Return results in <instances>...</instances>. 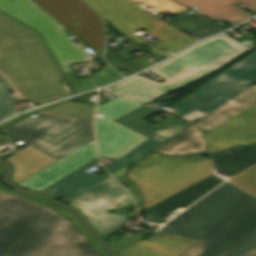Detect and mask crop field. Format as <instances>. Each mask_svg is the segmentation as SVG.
<instances>
[{
	"instance_id": "1",
	"label": "crop field",
	"mask_w": 256,
	"mask_h": 256,
	"mask_svg": "<svg viewBox=\"0 0 256 256\" xmlns=\"http://www.w3.org/2000/svg\"><path fill=\"white\" fill-rule=\"evenodd\" d=\"M157 232L198 241L179 256H243L256 247V198L225 182Z\"/></svg>"
},
{
	"instance_id": "2",
	"label": "crop field",
	"mask_w": 256,
	"mask_h": 256,
	"mask_svg": "<svg viewBox=\"0 0 256 256\" xmlns=\"http://www.w3.org/2000/svg\"><path fill=\"white\" fill-rule=\"evenodd\" d=\"M0 71L26 100L39 105L66 97L64 78L36 31L0 15Z\"/></svg>"
},
{
	"instance_id": "3",
	"label": "crop field",
	"mask_w": 256,
	"mask_h": 256,
	"mask_svg": "<svg viewBox=\"0 0 256 256\" xmlns=\"http://www.w3.org/2000/svg\"><path fill=\"white\" fill-rule=\"evenodd\" d=\"M75 222L68 211L0 184V256H30Z\"/></svg>"
},
{
	"instance_id": "4",
	"label": "crop field",
	"mask_w": 256,
	"mask_h": 256,
	"mask_svg": "<svg viewBox=\"0 0 256 256\" xmlns=\"http://www.w3.org/2000/svg\"><path fill=\"white\" fill-rule=\"evenodd\" d=\"M2 131L29 144L5 160L13 165L15 184L93 139L91 123L48 114L25 118Z\"/></svg>"
},
{
	"instance_id": "5",
	"label": "crop field",
	"mask_w": 256,
	"mask_h": 256,
	"mask_svg": "<svg viewBox=\"0 0 256 256\" xmlns=\"http://www.w3.org/2000/svg\"><path fill=\"white\" fill-rule=\"evenodd\" d=\"M245 51L219 35L150 69L165 80L162 83L136 75L103 90L147 104L224 65Z\"/></svg>"
},
{
	"instance_id": "6",
	"label": "crop field",
	"mask_w": 256,
	"mask_h": 256,
	"mask_svg": "<svg viewBox=\"0 0 256 256\" xmlns=\"http://www.w3.org/2000/svg\"><path fill=\"white\" fill-rule=\"evenodd\" d=\"M213 174L209 160L151 154L127 173L144 198L146 209Z\"/></svg>"
},
{
	"instance_id": "7",
	"label": "crop field",
	"mask_w": 256,
	"mask_h": 256,
	"mask_svg": "<svg viewBox=\"0 0 256 256\" xmlns=\"http://www.w3.org/2000/svg\"><path fill=\"white\" fill-rule=\"evenodd\" d=\"M123 35H127L162 57L169 56L130 33L142 28L161 42L155 43L169 53H174L195 41L167 23L144 14V10L128 0H84Z\"/></svg>"
},
{
	"instance_id": "8",
	"label": "crop field",
	"mask_w": 256,
	"mask_h": 256,
	"mask_svg": "<svg viewBox=\"0 0 256 256\" xmlns=\"http://www.w3.org/2000/svg\"><path fill=\"white\" fill-rule=\"evenodd\" d=\"M256 82V51L172 105L177 116L194 121Z\"/></svg>"
},
{
	"instance_id": "9",
	"label": "crop field",
	"mask_w": 256,
	"mask_h": 256,
	"mask_svg": "<svg viewBox=\"0 0 256 256\" xmlns=\"http://www.w3.org/2000/svg\"><path fill=\"white\" fill-rule=\"evenodd\" d=\"M0 11L36 29L44 39L62 73L71 72L68 65L90 62L85 52L69 41L57 22L31 0H0Z\"/></svg>"
},
{
	"instance_id": "10",
	"label": "crop field",
	"mask_w": 256,
	"mask_h": 256,
	"mask_svg": "<svg viewBox=\"0 0 256 256\" xmlns=\"http://www.w3.org/2000/svg\"><path fill=\"white\" fill-rule=\"evenodd\" d=\"M141 106L119 96L98 106L97 113H103V119L96 120L98 149L102 157L118 160L148 138L113 122Z\"/></svg>"
},
{
	"instance_id": "11",
	"label": "crop field",
	"mask_w": 256,
	"mask_h": 256,
	"mask_svg": "<svg viewBox=\"0 0 256 256\" xmlns=\"http://www.w3.org/2000/svg\"><path fill=\"white\" fill-rule=\"evenodd\" d=\"M129 200V194L108 177L69 204L83 213L92 227L105 238L129 220L107 212L119 209Z\"/></svg>"
},
{
	"instance_id": "12",
	"label": "crop field",
	"mask_w": 256,
	"mask_h": 256,
	"mask_svg": "<svg viewBox=\"0 0 256 256\" xmlns=\"http://www.w3.org/2000/svg\"><path fill=\"white\" fill-rule=\"evenodd\" d=\"M95 52H102L104 35L100 17L81 0H34Z\"/></svg>"
},
{
	"instance_id": "13",
	"label": "crop field",
	"mask_w": 256,
	"mask_h": 256,
	"mask_svg": "<svg viewBox=\"0 0 256 256\" xmlns=\"http://www.w3.org/2000/svg\"><path fill=\"white\" fill-rule=\"evenodd\" d=\"M96 156L94 141L91 140L17 185L29 189L42 190Z\"/></svg>"
},
{
	"instance_id": "14",
	"label": "crop field",
	"mask_w": 256,
	"mask_h": 256,
	"mask_svg": "<svg viewBox=\"0 0 256 256\" xmlns=\"http://www.w3.org/2000/svg\"><path fill=\"white\" fill-rule=\"evenodd\" d=\"M206 138L211 153L234 145L255 143L256 103Z\"/></svg>"
},
{
	"instance_id": "15",
	"label": "crop field",
	"mask_w": 256,
	"mask_h": 256,
	"mask_svg": "<svg viewBox=\"0 0 256 256\" xmlns=\"http://www.w3.org/2000/svg\"><path fill=\"white\" fill-rule=\"evenodd\" d=\"M31 256H109L76 222Z\"/></svg>"
},
{
	"instance_id": "16",
	"label": "crop field",
	"mask_w": 256,
	"mask_h": 256,
	"mask_svg": "<svg viewBox=\"0 0 256 256\" xmlns=\"http://www.w3.org/2000/svg\"><path fill=\"white\" fill-rule=\"evenodd\" d=\"M155 111L156 110L154 109L143 106L115 120V122L135 130L145 136L151 137L163 144L175 137L190 125L175 117L171 118L158 127L143 120Z\"/></svg>"
},
{
	"instance_id": "17",
	"label": "crop field",
	"mask_w": 256,
	"mask_h": 256,
	"mask_svg": "<svg viewBox=\"0 0 256 256\" xmlns=\"http://www.w3.org/2000/svg\"><path fill=\"white\" fill-rule=\"evenodd\" d=\"M223 181L212 175L146 210L159 221V224L165 223L164 218L173 210L188 207Z\"/></svg>"
},
{
	"instance_id": "18",
	"label": "crop field",
	"mask_w": 256,
	"mask_h": 256,
	"mask_svg": "<svg viewBox=\"0 0 256 256\" xmlns=\"http://www.w3.org/2000/svg\"><path fill=\"white\" fill-rule=\"evenodd\" d=\"M183 6L190 8L195 6L199 9L197 13L211 19L218 18L230 25H235L253 15L233 6L232 4L240 1L256 10V0H175Z\"/></svg>"
},
{
	"instance_id": "19",
	"label": "crop field",
	"mask_w": 256,
	"mask_h": 256,
	"mask_svg": "<svg viewBox=\"0 0 256 256\" xmlns=\"http://www.w3.org/2000/svg\"><path fill=\"white\" fill-rule=\"evenodd\" d=\"M193 242L164 234L155 233L147 240L136 242L120 253L121 256H177Z\"/></svg>"
},
{
	"instance_id": "20",
	"label": "crop field",
	"mask_w": 256,
	"mask_h": 256,
	"mask_svg": "<svg viewBox=\"0 0 256 256\" xmlns=\"http://www.w3.org/2000/svg\"><path fill=\"white\" fill-rule=\"evenodd\" d=\"M98 163V157H96L75 172L47 187L43 191H46L59 198H66L70 201L74 200L82 193L106 178V176L100 175L97 177L84 171Z\"/></svg>"
},
{
	"instance_id": "21",
	"label": "crop field",
	"mask_w": 256,
	"mask_h": 256,
	"mask_svg": "<svg viewBox=\"0 0 256 256\" xmlns=\"http://www.w3.org/2000/svg\"><path fill=\"white\" fill-rule=\"evenodd\" d=\"M254 101H256V85L248 87L193 124L200 129L215 128L252 104Z\"/></svg>"
},
{
	"instance_id": "22",
	"label": "crop field",
	"mask_w": 256,
	"mask_h": 256,
	"mask_svg": "<svg viewBox=\"0 0 256 256\" xmlns=\"http://www.w3.org/2000/svg\"><path fill=\"white\" fill-rule=\"evenodd\" d=\"M211 156L214 169L232 177L256 163V144L227 149Z\"/></svg>"
},
{
	"instance_id": "23",
	"label": "crop field",
	"mask_w": 256,
	"mask_h": 256,
	"mask_svg": "<svg viewBox=\"0 0 256 256\" xmlns=\"http://www.w3.org/2000/svg\"><path fill=\"white\" fill-rule=\"evenodd\" d=\"M155 151L163 155L207 153L202 134L192 125Z\"/></svg>"
},
{
	"instance_id": "24",
	"label": "crop field",
	"mask_w": 256,
	"mask_h": 256,
	"mask_svg": "<svg viewBox=\"0 0 256 256\" xmlns=\"http://www.w3.org/2000/svg\"><path fill=\"white\" fill-rule=\"evenodd\" d=\"M175 19H177L179 22L173 24L174 26L184 30L197 39L224 30L220 26L199 16L194 12L190 14L186 12L178 13L176 14Z\"/></svg>"
},
{
	"instance_id": "25",
	"label": "crop field",
	"mask_w": 256,
	"mask_h": 256,
	"mask_svg": "<svg viewBox=\"0 0 256 256\" xmlns=\"http://www.w3.org/2000/svg\"><path fill=\"white\" fill-rule=\"evenodd\" d=\"M43 113L89 120L93 118L94 106H88L77 103H64L50 109L42 111Z\"/></svg>"
},
{
	"instance_id": "26",
	"label": "crop field",
	"mask_w": 256,
	"mask_h": 256,
	"mask_svg": "<svg viewBox=\"0 0 256 256\" xmlns=\"http://www.w3.org/2000/svg\"><path fill=\"white\" fill-rule=\"evenodd\" d=\"M112 54L108 50H106L103 59L111 65L116 64L118 66L117 68H115L117 71L125 69L129 73L133 74L137 71H140L146 67L153 65L152 62L145 58L123 63Z\"/></svg>"
},
{
	"instance_id": "27",
	"label": "crop field",
	"mask_w": 256,
	"mask_h": 256,
	"mask_svg": "<svg viewBox=\"0 0 256 256\" xmlns=\"http://www.w3.org/2000/svg\"><path fill=\"white\" fill-rule=\"evenodd\" d=\"M8 86L6 79L0 76V120L20 112L13 108L12 99L7 90Z\"/></svg>"
},
{
	"instance_id": "28",
	"label": "crop field",
	"mask_w": 256,
	"mask_h": 256,
	"mask_svg": "<svg viewBox=\"0 0 256 256\" xmlns=\"http://www.w3.org/2000/svg\"><path fill=\"white\" fill-rule=\"evenodd\" d=\"M160 145L162 144L149 138L118 161L132 164L141 159L147 153L154 151Z\"/></svg>"
},
{
	"instance_id": "29",
	"label": "crop field",
	"mask_w": 256,
	"mask_h": 256,
	"mask_svg": "<svg viewBox=\"0 0 256 256\" xmlns=\"http://www.w3.org/2000/svg\"><path fill=\"white\" fill-rule=\"evenodd\" d=\"M256 195V165L229 180Z\"/></svg>"
},
{
	"instance_id": "30",
	"label": "crop field",
	"mask_w": 256,
	"mask_h": 256,
	"mask_svg": "<svg viewBox=\"0 0 256 256\" xmlns=\"http://www.w3.org/2000/svg\"><path fill=\"white\" fill-rule=\"evenodd\" d=\"M131 2L139 1L157 12L168 11L170 13L187 10V8L175 3L172 0H129Z\"/></svg>"
},
{
	"instance_id": "31",
	"label": "crop field",
	"mask_w": 256,
	"mask_h": 256,
	"mask_svg": "<svg viewBox=\"0 0 256 256\" xmlns=\"http://www.w3.org/2000/svg\"><path fill=\"white\" fill-rule=\"evenodd\" d=\"M93 78L97 86L100 87L121 78V76L106 64L104 68L94 73Z\"/></svg>"
},
{
	"instance_id": "32",
	"label": "crop field",
	"mask_w": 256,
	"mask_h": 256,
	"mask_svg": "<svg viewBox=\"0 0 256 256\" xmlns=\"http://www.w3.org/2000/svg\"><path fill=\"white\" fill-rule=\"evenodd\" d=\"M71 86L74 94L94 88V84L90 78L76 80L73 73L63 74Z\"/></svg>"
},
{
	"instance_id": "33",
	"label": "crop field",
	"mask_w": 256,
	"mask_h": 256,
	"mask_svg": "<svg viewBox=\"0 0 256 256\" xmlns=\"http://www.w3.org/2000/svg\"><path fill=\"white\" fill-rule=\"evenodd\" d=\"M125 163H121V162H114L111 165L105 167L106 170L109 172V174H113L115 171H117L118 169H120L122 166H124Z\"/></svg>"
},
{
	"instance_id": "34",
	"label": "crop field",
	"mask_w": 256,
	"mask_h": 256,
	"mask_svg": "<svg viewBox=\"0 0 256 256\" xmlns=\"http://www.w3.org/2000/svg\"><path fill=\"white\" fill-rule=\"evenodd\" d=\"M125 40H127L131 45H133L139 51L146 50L145 48H143L142 46L138 45L137 43L133 42L132 40H130L128 38H126Z\"/></svg>"
},
{
	"instance_id": "35",
	"label": "crop field",
	"mask_w": 256,
	"mask_h": 256,
	"mask_svg": "<svg viewBox=\"0 0 256 256\" xmlns=\"http://www.w3.org/2000/svg\"><path fill=\"white\" fill-rule=\"evenodd\" d=\"M245 256H256V248L253 249L252 251H250L248 254H246Z\"/></svg>"
},
{
	"instance_id": "36",
	"label": "crop field",
	"mask_w": 256,
	"mask_h": 256,
	"mask_svg": "<svg viewBox=\"0 0 256 256\" xmlns=\"http://www.w3.org/2000/svg\"><path fill=\"white\" fill-rule=\"evenodd\" d=\"M254 21H256V18L255 19H253Z\"/></svg>"
},
{
	"instance_id": "37",
	"label": "crop field",
	"mask_w": 256,
	"mask_h": 256,
	"mask_svg": "<svg viewBox=\"0 0 256 256\" xmlns=\"http://www.w3.org/2000/svg\"><path fill=\"white\" fill-rule=\"evenodd\" d=\"M0 14H1V12H0Z\"/></svg>"
}]
</instances>
